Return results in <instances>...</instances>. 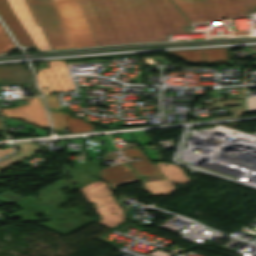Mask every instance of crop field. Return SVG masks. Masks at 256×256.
<instances>
[{"label": "crop field", "mask_w": 256, "mask_h": 256, "mask_svg": "<svg viewBox=\"0 0 256 256\" xmlns=\"http://www.w3.org/2000/svg\"><path fill=\"white\" fill-rule=\"evenodd\" d=\"M47 62L51 68L39 70L37 74L43 93L46 95L58 91L75 90L63 61ZM43 87H46L47 90L43 89Z\"/></svg>", "instance_id": "obj_8"}, {"label": "crop field", "mask_w": 256, "mask_h": 256, "mask_svg": "<svg viewBox=\"0 0 256 256\" xmlns=\"http://www.w3.org/2000/svg\"><path fill=\"white\" fill-rule=\"evenodd\" d=\"M13 13L18 18L38 49L51 50L39 25H36L25 0H7Z\"/></svg>", "instance_id": "obj_10"}, {"label": "crop field", "mask_w": 256, "mask_h": 256, "mask_svg": "<svg viewBox=\"0 0 256 256\" xmlns=\"http://www.w3.org/2000/svg\"><path fill=\"white\" fill-rule=\"evenodd\" d=\"M46 100H47L48 106L50 108L58 110V111L49 110V112H50V115H51V118L53 121L55 131L60 133V129H64V128H68V127L63 118L62 112H59V110H61L59 101H58L56 95H48V96H46Z\"/></svg>", "instance_id": "obj_17"}, {"label": "crop field", "mask_w": 256, "mask_h": 256, "mask_svg": "<svg viewBox=\"0 0 256 256\" xmlns=\"http://www.w3.org/2000/svg\"><path fill=\"white\" fill-rule=\"evenodd\" d=\"M30 75L23 65L0 66V83L21 82L29 83Z\"/></svg>", "instance_id": "obj_15"}, {"label": "crop field", "mask_w": 256, "mask_h": 256, "mask_svg": "<svg viewBox=\"0 0 256 256\" xmlns=\"http://www.w3.org/2000/svg\"><path fill=\"white\" fill-rule=\"evenodd\" d=\"M226 49H229V47L174 50L167 52L170 54H179L183 58L192 61H228L226 57Z\"/></svg>", "instance_id": "obj_12"}, {"label": "crop field", "mask_w": 256, "mask_h": 256, "mask_svg": "<svg viewBox=\"0 0 256 256\" xmlns=\"http://www.w3.org/2000/svg\"><path fill=\"white\" fill-rule=\"evenodd\" d=\"M14 204L22 209L20 211L12 213L15 217H19L24 221H37L35 214L44 213L45 219L50 218L52 220L47 223H42L40 225L48 227L60 234L66 235L74 230L83 227L56 214L50 213L48 211L49 208H47L45 205H43L32 196H28Z\"/></svg>", "instance_id": "obj_7"}, {"label": "crop field", "mask_w": 256, "mask_h": 256, "mask_svg": "<svg viewBox=\"0 0 256 256\" xmlns=\"http://www.w3.org/2000/svg\"><path fill=\"white\" fill-rule=\"evenodd\" d=\"M99 46L167 41L156 4L169 0H80ZM190 22L246 17L241 0H172Z\"/></svg>", "instance_id": "obj_1"}, {"label": "crop field", "mask_w": 256, "mask_h": 256, "mask_svg": "<svg viewBox=\"0 0 256 256\" xmlns=\"http://www.w3.org/2000/svg\"><path fill=\"white\" fill-rule=\"evenodd\" d=\"M28 105L12 109H0L2 117L19 118L42 129H49L47 116L40 98H24Z\"/></svg>", "instance_id": "obj_9"}, {"label": "crop field", "mask_w": 256, "mask_h": 256, "mask_svg": "<svg viewBox=\"0 0 256 256\" xmlns=\"http://www.w3.org/2000/svg\"><path fill=\"white\" fill-rule=\"evenodd\" d=\"M2 130V128H1V124H0V131Z\"/></svg>", "instance_id": "obj_27"}, {"label": "crop field", "mask_w": 256, "mask_h": 256, "mask_svg": "<svg viewBox=\"0 0 256 256\" xmlns=\"http://www.w3.org/2000/svg\"><path fill=\"white\" fill-rule=\"evenodd\" d=\"M45 63H46V62H41L38 69L49 68V66H48L47 63H46V65H47L48 67L45 66ZM36 70H37V69H36ZM36 70H35V72H36Z\"/></svg>", "instance_id": "obj_26"}, {"label": "crop field", "mask_w": 256, "mask_h": 256, "mask_svg": "<svg viewBox=\"0 0 256 256\" xmlns=\"http://www.w3.org/2000/svg\"><path fill=\"white\" fill-rule=\"evenodd\" d=\"M117 168L108 167L100 169L99 176L102 177V180L108 182L111 185V190L114 191L115 186L137 181L136 174L131 171L128 166L124 164L116 165ZM106 172V173H103Z\"/></svg>", "instance_id": "obj_14"}, {"label": "crop field", "mask_w": 256, "mask_h": 256, "mask_svg": "<svg viewBox=\"0 0 256 256\" xmlns=\"http://www.w3.org/2000/svg\"><path fill=\"white\" fill-rule=\"evenodd\" d=\"M0 17L3 19L19 45L32 46L37 48L17 18L12 13L6 0H0Z\"/></svg>", "instance_id": "obj_11"}, {"label": "crop field", "mask_w": 256, "mask_h": 256, "mask_svg": "<svg viewBox=\"0 0 256 256\" xmlns=\"http://www.w3.org/2000/svg\"><path fill=\"white\" fill-rule=\"evenodd\" d=\"M5 121H6V123H23V122H20V121H18V120H12V119H5ZM26 124V123H25ZM28 125V124H27ZM29 127H30V129H34V127L33 126H30L29 125Z\"/></svg>", "instance_id": "obj_25"}, {"label": "crop field", "mask_w": 256, "mask_h": 256, "mask_svg": "<svg viewBox=\"0 0 256 256\" xmlns=\"http://www.w3.org/2000/svg\"><path fill=\"white\" fill-rule=\"evenodd\" d=\"M14 47L16 46L13 44L9 34L0 23V54L7 52Z\"/></svg>", "instance_id": "obj_20"}, {"label": "crop field", "mask_w": 256, "mask_h": 256, "mask_svg": "<svg viewBox=\"0 0 256 256\" xmlns=\"http://www.w3.org/2000/svg\"><path fill=\"white\" fill-rule=\"evenodd\" d=\"M246 88H240V96H218L216 100L222 99V97H228V99H233V98H243V92Z\"/></svg>", "instance_id": "obj_22"}, {"label": "crop field", "mask_w": 256, "mask_h": 256, "mask_svg": "<svg viewBox=\"0 0 256 256\" xmlns=\"http://www.w3.org/2000/svg\"><path fill=\"white\" fill-rule=\"evenodd\" d=\"M157 6L160 11L168 35L188 33L187 31H183L181 28L184 25H189V23L178 12V10L173 6L172 3L160 4Z\"/></svg>", "instance_id": "obj_13"}, {"label": "crop field", "mask_w": 256, "mask_h": 256, "mask_svg": "<svg viewBox=\"0 0 256 256\" xmlns=\"http://www.w3.org/2000/svg\"><path fill=\"white\" fill-rule=\"evenodd\" d=\"M15 147L19 148L21 153L8 157L2 161H0V172L9 168L10 166L26 159L27 157L35 154L36 152L42 150V148L38 147L36 142L32 143H24V144H16Z\"/></svg>", "instance_id": "obj_16"}, {"label": "crop field", "mask_w": 256, "mask_h": 256, "mask_svg": "<svg viewBox=\"0 0 256 256\" xmlns=\"http://www.w3.org/2000/svg\"><path fill=\"white\" fill-rule=\"evenodd\" d=\"M99 163L100 159L94 160L88 163H81L73 165L74 168L71 169L66 165L65 169L70 171V175H72V179L70 181L77 182V184H74L69 187L71 183L60 180L49 187L43 189L39 192V198H37L39 201H41L43 204H45L47 207L51 208L50 212L56 213L58 215H61L65 218H68L78 224L81 225H87L92 220L82 216L80 212L71 209L64 211L58 207H60V204L65 203L63 195H61L60 191L63 188H68L67 191H65V194L68 192H71L75 190L76 188H80L88 183H91L95 180H97L98 172H99ZM69 212H72L73 215H70Z\"/></svg>", "instance_id": "obj_2"}, {"label": "crop field", "mask_w": 256, "mask_h": 256, "mask_svg": "<svg viewBox=\"0 0 256 256\" xmlns=\"http://www.w3.org/2000/svg\"><path fill=\"white\" fill-rule=\"evenodd\" d=\"M225 105H239L236 108H229L232 116L228 117H220L216 119H222V118H234V117H240L242 116V109H243V100L238 101H217L212 104L213 107H220Z\"/></svg>", "instance_id": "obj_19"}, {"label": "crop field", "mask_w": 256, "mask_h": 256, "mask_svg": "<svg viewBox=\"0 0 256 256\" xmlns=\"http://www.w3.org/2000/svg\"><path fill=\"white\" fill-rule=\"evenodd\" d=\"M122 151L127 158L140 159V161L130 162V165L139 174L146 190L152 196L167 194L175 189L172 182L185 183L190 180L178 166L166 162L151 163L138 147Z\"/></svg>", "instance_id": "obj_3"}, {"label": "crop field", "mask_w": 256, "mask_h": 256, "mask_svg": "<svg viewBox=\"0 0 256 256\" xmlns=\"http://www.w3.org/2000/svg\"><path fill=\"white\" fill-rule=\"evenodd\" d=\"M244 9L246 12L247 18H249L248 13H254V9L256 8V0H242Z\"/></svg>", "instance_id": "obj_21"}, {"label": "crop field", "mask_w": 256, "mask_h": 256, "mask_svg": "<svg viewBox=\"0 0 256 256\" xmlns=\"http://www.w3.org/2000/svg\"><path fill=\"white\" fill-rule=\"evenodd\" d=\"M74 48L98 46L79 0H53Z\"/></svg>", "instance_id": "obj_4"}, {"label": "crop field", "mask_w": 256, "mask_h": 256, "mask_svg": "<svg viewBox=\"0 0 256 256\" xmlns=\"http://www.w3.org/2000/svg\"><path fill=\"white\" fill-rule=\"evenodd\" d=\"M34 134H35V136H38V135H45V134H48V133H47V131H43V130H40V129L35 127Z\"/></svg>", "instance_id": "obj_24"}, {"label": "crop field", "mask_w": 256, "mask_h": 256, "mask_svg": "<svg viewBox=\"0 0 256 256\" xmlns=\"http://www.w3.org/2000/svg\"><path fill=\"white\" fill-rule=\"evenodd\" d=\"M79 191L89 203H95L92 206L101 219L96 223L113 228L126 221L122 208L117 206L106 183L97 180L80 188Z\"/></svg>", "instance_id": "obj_6"}, {"label": "crop field", "mask_w": 256, "mask_h": 256, "mask_svg": "<svg viewBox=\"0 0 256 256\" xmlns=\"http://www.w3.org/2000/svg\"><path fill=\"white\" fill-rule=\"evenodd\" d=\"M12 150H13L12 147L4 148V149L0 150V157L5 155V154H7V153H9V152H11Z\"/></svg>", "instance_id": "obj_23"}, {"label": "crop field", "mask_w": 256, "mask_h": 256, "mask_svg": "<svg viewBox=\"0 0 256 256\" xmlns=\"http://www.w3.org/2000/svg\"><path fill=\"white\" fill-rule=\"evenodd\" d=\"M51 49L73 48L52 0H26Z\"/></svg>", "instance_id": "obj_5"}, {"label": "crop field", "mask_w": 256, "mask_h": 256, "mask_svg": "<svg viewBox=\"0 0 256 256\" xmlns=\"http://www.w3.org/2000/svg\"><path fill=\"white\" fill-rule=\"evenodd\" d=\"M63 114L71 133L94 130L91 124L84 122L80 118H71L70 114L66 112Z\"/></svg>", "instance_id": "obj_18"}]
</instances>
